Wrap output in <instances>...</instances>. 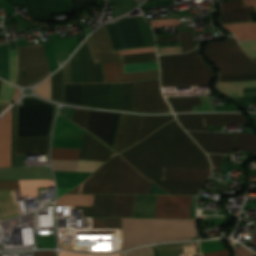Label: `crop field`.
<instances>
[{
  "instance_id": "obj_1",
  "label": "crop field",
  "mask_w": 256,
  "mask_h": 256,
  "mask_svg": "<svg viewBox=\"0 0 256 256\" xmlns=\"http://www.w3.org/2000/svg\"><path fill=\"white\" fill-rule=\"evenodd\" d=\"M119 155L169 194H198L204 181L163 180L164 167L211 168L206 154L176 119Z\"/></svg>"
},
{
  "instance_id": "obj_2",
  "label": "crop field",
  "mask_w": 256,
  "mask_h": 256,
  "mask_svg": "<svg viewBox=\"0 0 256 256\" xmlns=\"http://www.w3.org/2000/svg\"><path fill=\"white\" fill-rule=\"evenodd\" d=\"M133 82L105 83L101 63H94L87 40L52 75L51 101L131 112Z\"/></svg>"
},
{
  "instance_id": "obj_3",
  "label": "crop field",
  "mask_w": 256,
  "mask_h": 256,
  "mask_svg": "<svg viewBox=\"0 0 256 256\" xmlns=\"http://www.w3.org/2000/svg\"><path fill=\"white\" fill-rule=\"evenodd\" d=\"M121 223L124 249L197 237L195 220L121 218Z\"/></svg>"
},
{
  "instance_id": "obj_4",
  "label": "crop field",
  "mask_w": 256,
  "mask_h": 256,
  "mask_svg": "<svg viewBox=\"0 0 256 256\" xmlns=\"http://www.w3.org/2000/svg\"><path fill=\"white\" fill-rule=\"evenodd\" d=\"M161 86L210 85L214 68L208 66L200 56V46L178 55L159 56Z\"/></svg>"
},
{
  "instance_id": "obj_5",
  "label": "crop field",
  "mask_w": 256,
  "mask_h": 256,
  "mask_svg": "<svg viewBox=\"0 0 256 256\" xmlns=\"http://www.w3.org/2000/svg\"><path fill=\"white\" fill-rule=\"evenodd\" d=\"M57 105L24 96L15 108V137L50 136Z\"/></svg>"
},
{
  "instance_id": "obj_6",
  "label": "crop field",
  "mask_w": 256,
  "mask_h": 256,
  "mask_svg": "<svg viewBox=\"0 0 256 256\" xmlns=\"http://www.w3.org/2000/svg\"><path fill=\"white\" fill-rule=\"evenodd\" d=\"M105 26L113 50L155 46L151 28L142 16L117 19Z\"/></svg>"
},
{
  "instance_id": "obj_7",
  "label": "crop field",
  "mask_w": 256,
  "mask_h": 256,
  "mask_svg": "<svg viewBox=\"0 0 256 256\" xmlns=\"http://www.w3.org/2000/svg\"><path fill=\"white\" fill-rule=\"evenodd\" d=\"M204 48L208 63L216 65L219 73L256 72V63L242 52L233 37L208 43Z\"/></svg>"
},
{
  "instance_id": "obj_8",
  "label": "crop field",
  "mask_w": 256,
  "mask_h": 256,
  "mask_svg": "<svg viewBox=\"0 0 256 256\" xmlns=\"http://www.w3.org/2000/svg\"><path fill=\"white\" fill-rule=\"evenodd\" d=\"M132 111L171 112L160 92L158 80L134 83Z\"/></svg>"
},
{
  "instance_id": "obj_9",
  "label": "crop field",
  "mask_w": 256,
  "mask_h": 256,
  "mask_svg": "<svg viewBox=\"0 0 256 256\" xmlns=\"http://www.w3.org/2000/svg\"><path fill=\"white\" fill-rule=\"evenodd\" d=\"M95 62L122 59L123 64L140 63L157 60L155 52L119 56L118 51H112L105 27H102L88 38Z\"/></svg>"
},
{
  "instance_id": "obj_10",
  "label": "crop field",
  "mask_w": 256,
  "mask_h": 256,
  "mask_svg": "<svg viewBox=\"0 0 256 256\" xmlns=\"http://www.w3.org/2000/svg\"><path fill=\"white\" fill-rule=\"evenodd\" d=\"M17 47L19 70L25 69L31 86L51 73L42 43Z\"/></svg>"
},
{
  "instance_id": "obj_11",
  "label": "crop field",
  "mask_w": 256,
  "mask_h": 256,
  "mask_svg": "<svg viewBox=\"0 0 256 256\" xmlns=\"http://www.w3.org/2000/svg\"><path fill=\"white\" fill-rule=\"evenodd\" d=\"M120 156H115L81 183L79 193H115Z\"/></svg>"
},
{
  "instance_id": "obj_12",
  "label": "crop field",
  "mask_w": 256,
  "mask_h": 256,
  "mask_svg": "<svg viewBox=\"0 0 256 256\" xmlns=\"http://www.w3.org/2000/svg\"><path fill=\"white\" fill-rule=\"evenodd\" d=\"M121 113L90 110L85 130L113 147Z\"/></svg>"
},
{
  "instance_id": "obj_13",
  "label": "crop field",
  "mask_w": 256,
  "mask_h": 256,
  "mask_svg": "<svg viewBox=\"0 0 256 256\" xmlns=\"http://www.w3.org/2000/svg\"><path fill=\"white\" fill-rule=\"evenodd\" d=\"M14 4H23L26 11L36 20L50 22V15L59 13L73 14L72 0H12Z\"/></svg>"
},
{
  "instance_id": "obj_14",
  "label": "crop field",
  "mask_w": 256,
  "mask_h": 256,
  "mask_svg": "<svg viewBox=\"0 0 256 256\" xmlns=\"http://www.w3.org/2000/svg\"><path fill=\"white\" fill-rule=\"evenodd\" d=\"M152 183L137 173L122 157L116 193L151 194Z\"/></svg>"
},
{
  "instance_id": "obj_15",
  "label": "crop field",
  "mask_w": 256,
  "mask_h": 256,
  "mask_svg": "<svg viewBox=\"0 0 256 256\" xmlns=\"http://www.w3.org/2000/svg\"><path fill=\"white\" fill-rule=\"evenodd\" d=\"M192 196L156 195L154 217L190 218Z\"/></svg>"
},
{
  "instance_id": "obj_16",
  "label": "crop field",
  "mask_w": 256,
  "mask_h": 256,
  "mask_svg": "<svg viewBox=\"0 0 256 256\" xmlns=\"http://www.w3.org/2000/svg\"><path fill=\"white\" fill-rule=\"evenodd\" d=\"M144 116L122 114L114 148L117 153L134 145L138 141Z\"/></svg>"
},
{
  "instance_id": "obj_17",
  "label": "crop field",
  "mask_w": 256,
  "mask_h": 256,
  "mask_svg": "<svg viewBox=\"0 0 256 256\" xmlns=\"http://www.w3.org/2000/svg\"><path fill=\"white\" fill-rule=\"evenodd\" d=\"M106 82L138 81L158 78V70L123 74L121 61L102 63Z\"/></svg>"
},
{
  "instance_id": "obj_18",
  "label": "crop field",
  "mask_w": 256,
  "mask_h": 256,
  "mask_svg": "<svg viewBox=\"0 0 256 256\" xmlns=\"http://www.w3.org/2000/svg\"><path fill=\"white\" fill-rule=\"evenodd\" d=\"M12 107L0 117V166H11Z\"/></svg>"
},
{
  "instance_id": "obj_19",
  "label": "crop field",
  "mask_w": 256,
  "mask_h": 256,
  "mask_svg": "<svg viewBox=\"0 0 256 256\" xmlns=\"http://www.w3.org/2000/svg\"><path fill=\"white\" fill-rule=\"evenodd\" d=\"M99 141L89 133L85 132L79 159L99 161H107L110 159L113 151Z\"/></svg>"
},
{
  "instance_id": "obj_20",
  "label": "crop field",
  "mask_w": 256,
  "mask_h": 256,
  "mask_svg": "<svg viewBox=\"0 0 256 256\" xmlns=\"http://www.w3.org/2000/svg\"><path fill=\"white\" fill-rule=\"evenodd\" d=\"M116 195H94L93 207L84 206L83 216L112 217Z\"/></svg>"
},
{
  "instance_id": "obj_21",
  "label": "crop field",
  "mask_w": 256,
  "mask_h": 256,
  "mask_svg": "<svg viewBox=\"0 0 256 256\" xmlns=\"http://www.w3.org/2000/svg\"><path fill=\"white\" fill-rule=\"evenodd\" d=\"M23 198L20 190L0 191V216L7 219L21 215L16 199Z\"/></svg>"
},
{
  "instance_id": "obj_22",
  "label": "crop field",
  "mask_w": 256,
  "mask_h": 256,
  "mask_svg": "<svg viewBox=\"0 0 256 256\" xmlns=\"http://www.w3.org/2000/svg\"><path fill=\"white\" fill-rule=\"evenodd\" d=\"M205 150V152L232 154L234 139L224 137L192 136Z\"/></svg>"
},
{
  "instance_id": "obj_23",
  "label": "crop field",
  "mask_w": 256,
  "mask_h": 256,
  "mask_svg": "<svg viewBox=\"0 0 256 256\" xmlns=\"http://www.w3.org/2000/svg\"><path fill=\"white\" fill-rule=\"evenodd\" d=\"M49 137L16 138L15 154L48 153Z\"/></svg>"
},
{
  "instance_id": "obj_24",
  "label": "crop field",
  "mask_w": 256,
  "mask_h": 256,
  "mask_svg": "<svg viewBox=\"0 0 256 256\" xmlns=\"http://www.w3.org/2000/svg\"><path fill=\"white\" fill-rule=\"evenodd\" d=\"M211 169L165 168L164 179L206 180Z\"/></svg>"
},
{
  "instance_id": "obj_25",
  "label": "crop field",
  "mask_w": 256,
  "mask_h": 256,
  "mask_svg": "<svg viewBox=\"0 0 256 256\" xmlns=\"http://www.w3.org/2000/svg\"><path fill=\"white\" fill-rule=\"evenodd\" d=\"M243 2L245 3V5L256 4V0H243ZM255 12L256 5L221 12L222 16L220 22L250 21V14Z\"/></svg>"
},
{
  "instance_id": "obj_26",
  "label": "crop field",
  "mask_w": 256,
  "mask_h": 256,
  "mask_svg": "<svg viewBox=\"0 0 256 256\" xmlns=\"http://www.w3.org/2000/svg\"><path fill=\"white\" fill-rule=\"evenodd\" d=\"M245 117L241 114H176L181 126H204L203 118Z\"/></svg>"
},
{
  "instance_id": "obj_27",
  "label": "crop field",
  "mask_w": 256,
  "mask_h": 256,
  "mask_svg": "<svg viewBox=\"0 0 256 256\" xmlns=\"http://www.w3.org/2000/svg\"><path fill=\"white\" fill-rule=\"evenodd\" d=\"M243 87H256V81L217 82L215 85L226 97L244 96Z\"/></svg>"
},
{
  "instance_id": "obj_28",
  "label": "crop field",
  "mask_w": 256,
  "mask_h": 256,
  "mask_svg": "<svg viewBox=\"0 0 256 256\" xmlns=\"http://www.w3.org/2000/svg\"><path fill=\"white\" fill-rule=\"evenodd\" d=\"M222 25L233 32L239 40L256 39V23H228Z\"/></svg>"
},
{
  "instance_id": "obj_29",
  "label": "crop field",
  "mask_w": 256,
  "mask_h": 256,
  "mask_svg": "<svg viewBox=\"0 0 256 256\" xmlns=\"http://www.w3.org/2000/svg\"><path fill=\"white\" fill-rule=\"evenodd\" d=\"M173 118L174 117L172 115L145 116L143 125H142V129H141V133H140V137H139V141Z\"/></svg>"
},
{
  "instance_id": "obj_30",
  "label": "crop field",
  "mask_w": 256,
  "mask_h": 256,
  "mask_svg": "<svg viewBox=\"0 0 256 256\" xmlns=\"http://www.w3.org/2000/svg\"><path fill=\"white\" fill-rule=\"evenodd\" d=\"M135 195H117L113 217H131Z\"/></svg>"
},
{
  "instance_id": "obj_31",
  "label": "crop field",
  "mask_w": 256,
  "mask_h": 256,
  "mask_svg": "<svg viewBox=\"0 0 256 256\" xmlns=\"http://www.w3.org/2000/svg\"><path fill=\"white\" fill-rule=\"evenodd\" d=\"M234 149L247 151L256 155V135L237 132Z\"/></svg>"
},
{
  "instance_id": "obj_32",
  "label": "crop field",
  "mask_w": 256,
  "mask_h": 256,
  "mask_svg": "<svg viewBox=\"0 0 256 256\" xmlns=\"http://www.w3.org/2000/svg\"><path fill=\"white\" fill-rule=\"evenodd\" d=\"M23 196H37V187L54 186L50 180H19Z\"/></svg>"
},
{
  "instance_id": "obj_33",
  "label": "crop field",
  "mask_w": 256,
  "mask_h": 256,
  "mask_svg": "<svg viewBox=\"0 0 256 256\" xmlns=\"http://www.w3.org/2000/svg\"><path fill=\"white\" fill-rule=\"evenodd\" d=\"M93 195L64 194L57 199L56 205H92Z\"/></svg>"
},
{
  "instance_id": "obj_34",
  "label": "crop field",
  "mask_w": 256,
  "mask_h": 256,
  "mask_svg": "<svg viewBox=\"0 0 256 256\" xmlns=\"http://www.w3.org/2000/svg\"><path fill=\"white\" fill-rule=\"evenodd\" d=\"M205 127H183L185 130L208 131V126H217L225 124L247 123L245 118L234 119H204Z\"/></svg>"
},
{
  "instance_id": "obj_35",
  "label": "crop field",
  "mask_w": 256,
  "mask_h": 256,
  "mask_svg": "<svg viewBox=\"0 0 256 256\" xmlns=\"http://www.w3.org/2000/svg\"><path fill=\"white\" fill-rule=\"evenodd\" d=\"M174 111H190L194 105H201V98H181L168 100Z\"/></svg>"
},
{
  "instance_id": "obj_36",
  "label": "crop field",
  "mask_w": 256,
  "mask_h": 256,
  "mask_svg": "<svg viewBox=\"0 0 256 256\" xmlns=\"http://www.w3.org/2000/svg\"><path fill=\"white\" fill-rule=\"evenodd\" d=\"M81 149L52 148L51 159L78 160Z\"/></svg>"
},
{
  "instance_id": "obj_37",
  "label": "crop field",
  "mask_w": 256,
  "mask_h": 256,
  "mask_svg": "<svg viewBox=\"0 0 256 256\" xmlns=\"http://www.w3.org/2000/svg\"><path fill=\"white\" fill-rule=\"evenodd\" d=\"M0 77L9 81L8 43L0 45Z\"/></svg>"
},
{
  "instance_id": "obj_38",
  "label": "crop field",
  "mask_w": 256,
  "mask_h": 256,
  "mask_svg": "<svg viewBox=\"0 0 256 256\" xmlns=\"http://www.w3.org/2000/svg\"><path fill=\"white\" fill-rule=\"evenodd\" d=\"M256 80V73L219 74L216 81Z\"/></svg>"
},
{
  "instance_id": "obj_39",
  "label": "crop field",
  "mask_w": 256,
  "mask_h": 256,
  "mask_svg": "<svg viewBox=\"0 0 256 256\" xmlns=\"http://www.w3.org/2000/svg\"><path fill=\"white\" fill-rule=\"evenodd\" d=\"M183 53L195 48L191 30L178 31Z\"/></svg>"
},
{
  "instance_id": "obj_40",
  "label": "crop field",
  "mask_w": 256,
  "mask_h": 256,
  "mask_svg": "<svg viewBox=\"0 0 256 256\" xmlns=\"http://www.w3.org/2000/svg\"><path fill=\"white\" fill-rule=\"evenodd\" d=\"M123 69L124 73L141 70H153L158 69V62L155 61L149 63L123 65Z\"/></svg>"
},
{
  "instance_id": "obj_41",
  "label": "crop field",
  "mask_w": 256,
  "mask_h": 256,
  "mask_svg": "<svg viewBox=\"0 0 256 256\" xmlns=\"http://www.w3.org/2000/svg\"><path fill=\"white\" fill-rule=\"evenodd\" d=\"M53 170L76 171L78 161H58L51 160Z\"/></svg>"
},
{
  "instance_id": "obj_42",
  "label": "crop field",
  "mask_w": 256,
  "mask_h": 256,
  "mask_svg": "<svg viewBox=\"0 0 256 256\" xmlns=\"http://www.w3.org/2000/svg\"><path fill=\"white\" fill-rule=\"evenodd\" d=\"M82 228H107L105 218H83Z\"/></svg>"
},
{
  "instance_id": "obj_43",
  "label": "crop field",
  "mask_w": 256,
  "mask_h": 256,
  "mask_svg": "<svg viewBox=\"0 0 256 256\" xmlns=\"http://www.w3.org/2000/svg\"><path fill=\"white\" fill-rule=\"evenodd\" d=\"M119 255L120 256H154L152 246L133 249L127 252L120 253Z\"/></svg>"
},
{
  "instance_id": "obj_44",
  "label": "crop field",
  "mask_w": 256,
  "mask_h": 256,
  "mask_svg": "<svg viewBox=\"0 0 256 256\" xmlns=\"http://www.w3.org/2000/svg\"><path fill=\"white\" fill-rule=\"evenodd\" d=\"M10 82L15 83L17 73L16 49L9 50Z\"/></svg>"
},
{
  "instance_id": "obj_45",
  "label": "crop field",
  "mask_w": 256,
  "mask_h": 256,
  "mask_svg": "<svg viewBox=\"0 0 256 256\" xmlns=\"http://www.w3.org/2000/svg\"><path fill=\"white\" fill-rule=\"evenodd\" d=\"M13 89H14L13 86H11L5 82H2V86H1V90H0V101L12 103Z\"/></svg>"
},
{
  "instance_id": "obj_46",
  "label": "crop field",
  "mask_w": 256,
  "mask_h": 256,
  "mask_svg": "<svg viewBox=\"0 0 256 256\" xmlns=\"http://www.w3.org/2000/svg\"><path fill=\"white\" fill-rule=\"evenodd\" d=\"M89 110L87 109H77L75 108L74 116L72 121L81 127L85 128L87 116H88Z\"/></svg>"
},
{
  "instance_id": "obj_47",
  "label": "crop field",
  "mask_w": 256,
  "mask_h": 256,
  "mask_svg": "<svg viewBox=\"0 0 256 256\" xmlns=\"http://www.w3.org/2000/svg\"><path fill=\"white\" fill-rule=\"evenodd\" d=\"M102 163L104 162L79 160L77 171L93 172Z\"/></svg>"
},
{
  "instance_id": "obj_48",
  "label": "crop field",
  "mask_w": 256,
  "mask_h": 256,
  "mask_svg": "<svg viewBox=\"0 0 256 256\" xmlns=\"http://www.w3.org/2000/svg\"><path fill=\"white\" fill-rule=\"evenodd\" d=\"M50 85H51V77H49L46 81L41 83L36 89L35 93L49 99L50 97Z\"/></svg>"
},
{
  "instance_id": "obj_49",
  "label": "crop field",
  "mask_w": 256,
  "mask_h": 256,
  "mask_svg": "<svg viewBox=\"0 0 256 256\" xmlns=\"http://www.w3.org/2000/svg\"><path fill=\"white\" fill-rule=\"evenodd\" d=\"M245 53L251 58H256V41L239 42Z\"/></svg>"
},
{
  "instance_id": "obj_50",
  "label": "crop field",
  "mask_w": 256,
  "mask_h": 256,
  "mask_svg": "<svg viewBox=\"0 0 256 256\" xmlns=\"http://www.w3.org/2000/svg\"><path fill=\"white\" fill-rule=\"evenodd\" d=\"M150 22H151L152 27L181 25L180 20L179 19H174V18L154 20V21H150Z\"/></svg>"
},
{
  "instance_id": "obj_51",
  "label": "crop field",
  "mask_w": 256,
  "mask_h": 256,
  "mask_svg": "<svg viewBox=\"0 0 256 256\" xmlns=\"http://www.w3.org/2000/svg\"><path fill=\"white\" fill-rule=\"evenodd\" d=\"M192 111H213L212 101H209V96H202V106H194Z\"/></svg>"
},
{
  "instance_id": "obj_52",
  "label": "crop field",
  "mask_w": 256,
  "mask_h": 256,
  "mask_svg": "<svg viewBox=\"0 0 256 256\" xmlns=\"http://www.w3.org/2000/svg\"><path fill=\"white\" fill-rule=\"evenodd\" d=\"M220 6H221V10L224 11L228 9L242 7L243 5L240 0H231V1L221 3Z\"/></svg>"
},
{
  "instance_id": "obj_53",
  "label": "crop field",
  "mask_w": 256,
  "mask_h": 256,
  "mask_svg": "<svg viewBox=\"0 0 256 256\" xmlns=\"http://www.w3.org/2000/svg\"><path fill=\"white\" fill-rule=\"evenodd\" d=\"M158 54L182 53L181 46L157 48Z\"/></svg>"
},
{
  "instance_id": "obj_54",
  "label": "crop field",
  "mask_w": 256,
  "mask_h": 256,
  "mask_svg": "<svg viewBox=\"0 0 256 256\" xmlns=\"http://www.w3.org/2000/svg\"><path fill=\"white\" fill-rule=\"evenodd\" d=\"M190 135L235 137V134L217 132H188Z\"/></svg>"
},
{
  "instance_id": "obj_55",
  "label": "crop field",
  "mask_w": 256,
  "mask_h": 256,
  "mask_svg": "<svg viewBox=\"0 0 256 256\" xmlns=\"http://www.w3.org/2000/svg\"><path fill=\"white\" fill-rule=\"evenodd\" d=\"M150 51H155V47L128 49V50L119 51V53L120 55H125V54H135V53L150 52Z\"/></svg>"
},
{
  "instance_id": "obj_56",
  "label": "crop field",
  "mask_w": 256,
  "mask_h": 256,
  "mask_svg": "<svg viewBox=\"0 0 256 256\" xmlns=\"http://www.w3.org/2000/svg\"><path fill=\"white\" fill-rule=\"evenodd\" d=\"M209 157H210V159L212 161L213 169L218 170L224 155L209 154Z\"/></svg>"
},
{
  "instance_id": "obj_57",
  "label": "crop field",
  "mask_w": 256,
  "mask_h": 256,
  "mask_svg": "<svg viewBox=\"0 0 256 256\" xmlns=\"http://www.w3.org/2000/svg\"><path fill=\"white\" fill-rule=\"evenodd\" d=\"M19 189L17 181H0V190Z\"/></svg>"
},
{
  "instance_id": "obj_58",
  "label": "crop field",
  "mask_w": 256,
  "mask_h": 256,
  "mask_svg": "<svg viewBox=\"0 0 256 256\" xmlns=\"http://www.w3.org/2000/svg\"><path fill=\"white\" fill-rule=\"evenodd\" d=\"M108 228H121L120 218H106Z\"/></svg>"
},
{
  "instance_id": "obj_59",
  "label": "crop field",
  "mask_w": 256,
  "mask_h": 256,
  "mask_svg": "<svg viewBox=\"0 0 256 256\" xmlns=\"http://www.w3.org/2000/svg\"><path fill=\"white\" fill-rule=\"evenodd\" d=\"M235 256H255V254L251 253L249 250L241 247L235 250Z\"/></svg>"
},
{
  "instance_id": "obj_60",
  "label": "crop field",
  "mask_w": 256,
  "mask_h": 256,
  "mask_svg": "<svg viewBox=\"0 0 256 256\" xmlns=\"http://www.w3.org/2000/svg\"><path fill=\"white\" fill-rule=\"evenodd\" d=\"M157 42L179 41L178 35L156 37Z\"/></svg>"
},
{
  "instance_id": "obj_61",
  "label": "crop field",
  "mask_w": 256,
  "mask_h": 256,
  "mask_svg": "<svg viewBox=\"0 0 256 256\" xmlns=\"http://www.w3.org/2000/svg\"><path fill=\"white\" fill-rule=\"evenodd\" d=\"M74 108L61 107L60 112L67 116L69 119H72ZM62 114V115H63Z\"/></svg>"
},
{
  "instance_id": "obj_62",
  "label": "crop field",
  "mask_w": 256,
  "mask_h": 256,
  "mask_svg": "<svg viewBox=\"0 0 256 256\" xmlns=\"http://www.w3.org/2000/svg\"><path fill=\"white\" fill-rule=\"evenodd\" d=\"M204 256H230V251L224 250V251H218V252H212V253H206L203 254Z\"/></svg>"
},
{
  "instance_id": "obj_63",
  "label": "crop field",
  "mask_w": 256,
  "mask_h": 256,
  "mask_svg": "<svg viewBox=\"0 0 256 256\" xmlns=\"http://www.w3.org/2000/svg\"><path fill=\"white\" fill-rule=\"evenodd\" d=\"M159 1H163V0H159ZM159 1H155V2H159ZM172 1H173V0H167V1H163V2L156 3V4H152V3H155V2L146 3V4H142L141 6L148 5V4H152V5H148V6H144V7H140V8L153 7V6L161 5V4L168 3V2H172ZM169 4H174V2L168 3V4H164V5H169ZM161 6H162V5H161Z\"/></svg>"
},
{
  "instance_id": "obj_64",
  "label": "crop field",
  "mask_w": 256,
  "mask_h": 256,
  "mask_svg": "<svg viewBox=\"0 0 256 256\" xmlns=\"http://www.w3.org/2000/svg\"><path fill=\"white\" fill-rule=\"evenodd\" d=\"M34 256H55L54 251H37L33 252Z\"/></svg>"
},
{
  "instance_id": "obj_65",
  "label": "crop field",
  "mask_w": 256,
  "mask_h": 256,
  "mask_svg": "<svg viewBox=\"0 0 256 256\" xmlns=\"http://www.w3.org/2000/svg\"><path fill=\"white\" fill-rule=\"evenodd\" d=\"M59 256H91V255H82V254H73V253H66V252H61ZM110 256H119L117 255H110Z\"/></svg>"
},
{
  "instance_id": "obj_66",
  "label": "crop field",
  "mask_w": 256,
  "mask_h": 256,
  "mask_svg": "<svg viewBox=\"0 0 256 256\" xmlns=\"http://www.w3.org/2000/svg\"><path fill=\"white\" fill-rule=\"evenodd\" d=\"M69 190H71V189H69V188L57 187V196H59V195L65 193V192H67V191H69ZM57 198H58V197H57Z\"/></svg>"
},
{
  "instance_id": "obj_67",
  "label": "crop field",
  "mask_w": 256,
  "mask_h": 256,
  "mask_svg": "<svg viewBox=\"0 0 256 256\" xmlns=\"http://www.w3.org/2000/svg\"><path fill=\"white\" fill-rule=\"evenodd\" d=\"M9 106L10 104L0 103V114L4 112Z\"/></svg>"
},
{
  "instance_id": "obj_68",
  "label": "crop field",
  "mask_w": 256,
  "mask_h": 256,
  "mask_svg": "<svg viewBox=\"0 0 256 256\" xmlns=\"http://www.w3.org/2000/svg\"><path fill=\"white\" fill-rule=\"evenodd\" d=\"M252 242H253L254 244H256V230H255V233H254Z\"/></svg>"
},
{
  "instance_id": "obj_69",
  "label": "crop field",
  "mask_w": 256,
  "mask_h": 256,
  "mask_svg": "<svg viewBox=\"0 0 256 256\" xmlns=\"http://www.w3.org/2000/svg\"><path fill=\"white\" fill-rule=\"evenodd\" d=\"M150 1H155V0H146L145 2H150Z\"/></svg>"
},
{
  "instance_id": "obj_70",
  "label": "crop field",
  "mask_w": 256,
  "mask_h": 256,
  "mask_svg": "<svg viewBox=\"0 0 256 256\" xmlns=\"http://www.w3.org/2000/svg\"><path fill=\"white\" fill-rule=\"evenodd\" d=\"M1 82H2V80H0V86H1Z\"/></svg>"
}]
</instances>
